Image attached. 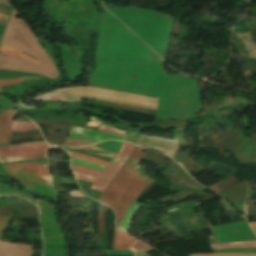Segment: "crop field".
Returning <instances> with one entry per match:
<instances>
[{
	"label": "crop field",
	"mask_w": 256,
	"mask_h": 256,
	"mask_svg": "<svg viewBox=\"0 0 256 256\" xmlns=\"http://www.w3.org/2000/svg\"><path fill=\"white\" fill-rule=\"evenodd\" d=\"M145 150L135 146L131 156L99 198V201L110 206L116 212L118 227L138 195L157 179L139 169Z\"/></svg>",
	"instance_id": "1"
},
{
	"label": "crop field",
	"mask_w": 256,
	"mask_h": 256,
	"mask_svg": "<svg viewBox=\"0 0 256 256\" xmlns=\"http://www.w3.org/2000/svg\"><path fill=\"white\" fill-rule=\"evenodd\" d=\"M2 41L55 69L51 59L37 41L27 23L23 19H16L15 10L12 17L9 19ZM0 70L35 72L51 78L59 75L56 69L52 70L21 58L2 53H0Z\"/></svg>",
	"instance_id": "2"
},
{
	"label": "crop field",
	"mask_w": 256,
	"mask_h": 256,
	"mask_svg": "<svg viewBox=\"0 0 256 256\" xmlns=\"http://www.w3.org/2000/svg\"><path fill=\"white\" fill-rule=\"evenodd\" d=\"M3 167L22 185H51L52 179L46 165L34 163L4 164Z\"/></svg>",
	"instance_id": "3"
},
{
	"label": "crop field",
	"mask_w": 256,
	"mask_h": 256,
	"mask_svg": "<svg viewBox=\"0 0 256 256\" xmlns=\"http://www.w3.org/2000/svg\"><path fill=\"white\" fill-rule=\"evenodd\" d=\"M51 146L45 142H32L0 147V162H12L46 157L47 148Z\"/></svg>",
	"instance_id": "4"
},
{
	"label": "crop field",
	"mask_w": 256,
	"mask_h": 256,
	"mask_svg": "<svg viewBox=\"0 0 256 256\" xmlns=\"http://www.w3.org/2000/svg\"><path fill=\"white\" fill-rule=\"evenodd\" d=\"M216 235V244L233 241L256 240V236L249 228L247 222L228 224L212 228Z\"/></svg>",
	"instance_id": "5"
},
{
	"label": "crop field",
	"mask_w": 256,
	"mask_h": 256,
	"mask_svg": "<svg viewBox=\"0 0 256 256\" xmlns=\"http://www.w3.org/2000/svg\"><path fill=\"white\" fill-rule=\"evenodd\" d=\"M134 145L130 143H123L118 154L113 158V160L106 166V168L101 172L99 177L94 182L92 189L103 191L110 180L114 177L117 171L124 164L126 159L130 156Z\"/></svg>",
	"instance_id": "6"
},
{
	"label": "crop field",
	"mask_w": 256,
	"mask_h": 256,
	"mask_svg": "<svg viewBox=\"0 0 256 256\" xmlns=\"http://www.w3.org/2000/svg\"><path fill=\"white\" fill-rule=\"evenodd\" d=\"M68 138L85 140V141H93V142H99L101 140H106V139H117V140L123 141L124 139V137L114 136V135L106 134L103 132L84 129V128H78V127H75L72 130Z\"/></svg>",
	"instance_id": "7"
},
{
	"label": "crop field",
	"mask_w": 256,
	"mask_h": 256,
	"mask_svg": "<svg viewBox=\"0 0 256 256\" xmlns=\"http://www.w3.org/2000/svg\"><path fill=\"white\" fill-rule=\"evenodd\" d=\"M32 246L0 241V256H31Z\"/></svg>",
	"instance_id": "8"
},
{
	"label": "crop field",
	"mask_w": 256,
	"mask_h": 256,
	"mask_svg": "<svg viewBox=\"0 0 256 256\" xmlns=\"http://www.w3.org/2000/svg\"><path fill=\"white\" fill-rule=\"evenodd\" d=\"M14 114V110H7L0 114V143L10 142V129Z\"/></svg>",
	"instance_id": "9"
},
{
	"label": "crop field",
	"mask_w": 256,
	"mask_h": 256,
	"mask_svg": "<svg viewBox=\"0 0 256 256\" xmlns=\"http://www.w3.org/2000/svg\"><path fill=\"white\" fill-rule=\"evenodd\" d=\"M133 240L134 238L120 232L117 228H115L113 250L127 249Z\"/></svg>",
	"instance_id": "10"
},
{
	"label": "crop field",
	"mask_w": 256,
	"mask_h": 256,
	"mask_svg": "<svg viewBox=\"0 0 256 256\" xmlns=\"http://www.w3.org/2000/svg\"><path fill=\"white\" fill-rule=\"evenodd\" d=\"M0 52L9 53L11 55H15V56H19L21 58H24L28 61L35 62V63H38V64H42L41 62L26 56L24 53H21V52L17 51L16 49L12 48L11 46H9V45H7L6 43H3V42L0 43ZM42 65H44V64H42Z\"/></svg>",
	"instance_id": "11"
},
{
	"label": "crop field",
	"mask_w": 256,
	"mask_h": 256,
	"mask_svg": "<svg viewBox=\"0 0 256 256\" xmlns=\"http://www.w3.org/2000/svg\"><path fill=\"white\" fill-rule=\"evenodd\" d=\"M139 206H140V204L134 202V204L131 206L129 212L124 217V220H123V223H122L120 229H122L123 231L127 232V228H128L129 222H130L133 214L139 208Z\"/></svg>",
	"instance_id": "12"
},
{
	"label": "crop field",
	"mask_w": 256,
	"mask_h": 256,
	"mask_svg": "<svg viewBox=\"0 0 256 256\" xmlns=\"http://www.w3.org/2000/svg\"><path fill=\"white\" fill-rule=\"evenodd\" d=\"M211 248H225V247H256V241L252 242H235L229 244L210 245Z\"/></svg>",
	"instance_id": "13"
},
{
	"label": "crop field",
	"mask_w": 256,
	"mask_h": 256,
	"mask_svg": "<svg viewBox=\"0 0 256 256\" xmlns=\"http://www.w3.org/2000/svg\"><path fill=\"white\" fill-rule=\"evenodd\" d=\"M215 253H256V248L215 249Z\"/></svg>",
	"instance_id": "14"
},
{
	"label": "crop field",
	"mask_w": 256,
	"mask_h": 256,
	"mask_svg": "<svg viewBox=\"0 0 256 256\" xmlns=\"http://www.w3.org/2000/svg\"><path fill=\"white\" fill-rule=\"evenodd\" d=\"M128 250L132 252H143L151 250V248L135 239L133 243L129 246Z\"/></svg>",
	"instance_id": "15"
},
{
	"label": "crop field",
	"mask_w": 256,
	"mask_h": 256,
	"mask_svg": "<svg viewBox=\"0 0 256 256\" xmlns=\"http://www.w3.org/2000/svg\"><path fill=\"white\" fill-rule=\"evenodd\" d=\"M68 152L73 157L82 158V159H85V160H88V161H92V162H95V163H98V164H101V165H104V166H106L108 164V162H106L104 160H101V159H98V158L86 156V155L79 154V153H76V152H71V151H68Z\"/></svg>",
	"instance_id": "16"
},
{
	"label": "crop field",
	"mask_w": 256,
	"mask_h": 256,
	"mask_svg": "<svg viewBox=\"0 0 256 256\" xmlns=\"http://www.w3.org/2000/svg\"><path fill=\"white\" fill-rule=\"evenodd\" d=\"M72 170L84 172V173H87V174H90V175H93V176H96V177L100 173V171H97L95 169L84 167V166H80V165H76V164H72Z\"/></svg>",
	"instance_id": "17"
},
{
	"label": "crop field",
	"mask_w": 256,
	"mask_h": 256,
	"mask_svg": "<svg viewBox=\"0 0 256 256\" xmlns=\"http://www.w3.org/2000/svg\"><path fill=\"white\" fill-rule=\"evenodd\" d=\"M71 162L81 164V165H85V166H89V167L95 168V169L100 170V171H102L103 168H104V166L93 164V163L86 162V161H82V160L75 159V158H72V157H71Z\"/></svg>",
	"instance_id": "18"
},
{
	"label": "crop field",
	"mask_w": 256,
	"mask_h": 256,
	"mask_svg": "<svg viewBox=\"0 0 256 256\" xmlns=\"http://www.w3.org/2000/svg\"><path fill=\"white\" fill-rule=\"evenodd\" d=\"M99 131H103V132H106V133H110V134H114V135H120V136H124V134L112 129V128H109V127H105V126H99Z\"/></svg>",
	"instance_id": "19"
},
{
	"label": "crop field",
	"mask_w": 256,
	"mask_h": 256,
	"mask_svg": "<svg viewBox=\"0 0 256 256\" xmlns=\"http://www.w3.org/2000/svg\"><path fill=\"white\" fill-rule=\"evenodd\" d=\"M73 174L75 175L76 178L87 180V181H91V182H94V180L96 179V177H92V176L81 174V173H77V172H73Z\"/></svg>",
	"instance_id": "20"
},
{
	"label": "crop field",
	"mask_w": 256,
	"mask_h": 256,
	"mask_svg": "<svg viewBox=\"0 0 256 256\" xmlns=\"http://www.w3.org/2000/svg\"><path fill=\"white\" fill-rule=\"evenodd\" d=\"M191 256H256V255H238V254H190Z\"/></svg>",
	"instance_id": "21"
},
{
	"label": "crop field",
	"mask_w": 256,
	"mask_h": 256,
	"mask_svg": "<svg viewBox=\"0 0 256 256\" xmlns=\"http://www.w3.org/2000/svg\"><path fill=\"white\" fill-rule=\"evenodd\" d=\"M22 82V79H10V80H0V87L4 85H10Z\"/></svg>",
	"instance_id": "22"
},
{
	"label": "crop field",
	"mask_w": 256,
	"mask_h": 256,
	"mask_svg": "<svg viewBox=\"0 0 256 256\" xmlns=\"http://www.w3.org/2000/svg\"><path fill=\"white\" fill-rule=\"evenodd\" d=\"M64 143L68 144H77V145H89V144H94L93 142H85V141H78V140H70L66 139Z\"/></svg>",
	"instance_id": "23"
},
{
	"label": "crop field",
	"mask_w": 256,
	"mask_h": 256,
	"mask_svg": "<svg viewBox=\"0 0 256 256\" xmlns=\"http://www.w3.org/2000/svg\"><path fill=\"white\" fill-rule=\"evenodd\" d=\"M10 12H11V7L10 6L0 4V13H4V14L9 15Z\"/></svg>",
	"instance_id": "24"
},
{
	"label": "crop field",
	"mask_w": 256,
	"mask_h": 256,
	"mask_svg": "<svg viewBox=\"0 0 256 256\" xmlns=\"http://www.w3.org/2000/svg\"><path fill=\"white\" fill-rule=\"evenodd\" d=\"M8 219H9V217H1L0 216V234H1L2 230L4 229Z\"/></svg>",
	"instance_id": "25"
},
{
	"label": "crop field",
	"mask_w": 256,
	"mask_h": 256,
	"mask_svg": "<svg viewBox=\"0 0 256 256\" xmlns=\"http://www.w3.org/2000/svg\"><path fill=\"white\" fill-rule=\"evenodd\" d=\"M7 18H8L7 15H1L0 14V22L6 23L7 22Z\"/></svg>",
	"instance_id": "26"
},
{
	"label": "crop field",
	"mask_w": 256,
	"mask_h": 256,
	"mask_svg": "<svg viewBox=\"0 0 256 256\" xmlns=\"http://www.w3.org/2000/svg\"><path fill=\"white\" fill-rule=\"evenodd\" d=\"M0 3L10 5V3H9V1H8V0H0ZM10 6H11V5H10Z\"/></svg>",
	"instance_id": "27"
},
{
	"label": "crop field",
	"mask_w": 256,
	"mask_h": 256,
	"mask_svg": "<svg viewBox=\"0 0 256 256\" xmlns=\"http://www.w3.org/2000/svg\"><path fill=\"white\" fill-rule=\"evenodd\" d=\"M250 225H251L252 229H256V223H251Z\"/></svg>",
	"instance_id": "28"
},
{
	"label": "crop field",
	"mask_w": 256,
	"mask_h": 256,
	"mask_svg": "<svg viewBox=\"0 0 256 256\" xmlns=\"http://www.w3.org/2000/svg\"><path fill=\"white\" fill-rule=\"evenodd\" d=\"M254 232L256 233V230H254Z\"/></svg>",
	"instance_id": "29"
}]
</instances>
